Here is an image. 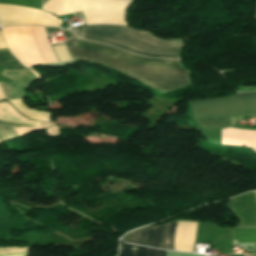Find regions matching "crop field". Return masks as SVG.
I'll return each instance as SVG.
<instances>
[{"mask_svg": "<svg viewBox=\"0 0 256 256\" xmlns=\"http://www.w3.org/2000/svg\"><path fill=\"white\" fill-rule=\"evenodd\" d=\"M10 102L17 110H19L21 113H23L24 115H26L32 119L39 120V121H49V119H48L49 113L48 112H42V111H37V110L28 108L24 104L23 99L12 100Z\"/></svg>", "mask_w": 256, "mask_h": 256, "instance_id": "obj_11", "label": "crop field"}, {"mask_svg": "<svg viewBox=\"0 0 256 256\" xmlns=\"http://www.w3.org/2000/svg\"><path fill=\"white\" fill-rule=\"evenodd\" d=\"M2 76L15 82L0 83L2 92L6 99L24 97L29 85L36 80V78L27 69L20 71L4 70Z\"/></svg>", "mask_w": 256, "mask_h": 256, "instance_id": "obj_8", "label": "crop field"}, {"mask_svg": "<svg viewBox=\"0 0 256 256\" xmlns=\"http://www.w3.org/2000/svg\"><path fill=\"white\" fill-rule=\"evenodd\" d=\"M1 31L9 50L24 66L58 62L46 38L44 27H6L1 28ZM53 48L60 61L71 60L64 44Z\"/></svg>", "mask_w": 256, "mask_h": 256, "instance_id": "obj_3", "label": "crop field"}, {"mask_svg": "<svg viewBox=\"0 0 256 256\" xmlns=\"http://www.w3.org/2000/svg\"><path fill=\"white\" fill-rule=\"evenodd\" d=\"M193 119L203 130L231 126L230 116L256 114V92L191 102Z\"/></svg>", "mask_w": 256, "mask_h": 256, "instance_id": "obj_4", "label": "crop field"}, {"mask_svg": "<svg viewBox=\"0 0 256 256\" xmlns=\"http://www.w3.org/2000/svg\"><path fill=\"white\" fill-rule=\"evenodd\" d=\"M1 99H4V98H3L2 92H1V90H0V100H1Z\"/></svg>", "mask_w": 256, "mask_h": 256, "instance_id": "obj_17", "label": "crop field"}, {"mask_svg": "<svg viewBox=\"0 0 256 256\" xmlns=\"http://www.w3.org/2000/svg\"><path fill=\"white\" fill-rule=\"evenodd\" d=\"M4 48H6V46H5L3 40H2V38L0 36V49H4Z\"/></svg>", "mask_w": 256, "mask_h": 256, "instance_id": "obj_16", "label": "crop field"}, {"mask_svg": "<svg viewBox=\"0 0 256 256\" xmlns=\"http://www.w3.org/2000/svg\"><path fill=\"white\" fill-rule=\"evenodd\" d=\"M0 66H3L5 68H21L23 67L16 59L15 57L5 50H0Z\"/></svg>", "mask_w": 256, "mask_h": 256, "instance_id": "obj_13", "label": "crop field"}, {"mask_svg": "<svg viewBox=\"0 0 256 256\" xmlns=\"http://www.w3.org/2000/svg\"><path fill=\"white\" fill-rule=\"evenodd\" d=\"M132 0H48L42 9L57 15L82 12L86 25L127 26L126 12Z\"/></svg>", "mask_w": 256, "mask_h": 256, "instance_id": "obj_5", "label": "crop field"}, {"mask_svg": "<svg viewBox=\"0 0 256 256\" xmlns=\"http://www.w3.org/2000/svg\"><path fill=\"white\" fill-rule=\"evenodd\" d=\"M177 222L138 230L127 235L123 241L173 250Z\"/></svg>", "mask_w": 256, "mask_h": 256, "instance_id": "obj_7", "label": "crop field"}, {"mask_svg": "<svg viewBox=\"0 0 256 256\" xmlns=\"http://www.w3.org/2000/svg\"><path fill=\"white\" fill-rule=\"evenodd\" d=\"M22 116L20 114H18L9 104L0 103V119L40 126V123H38L39 121L38 122H33L34 120L29 121L30 119L27 120L28 118L25 119L26 117L23 118ZM10 123H11L12 127L31 126V125H25V124L13 123V122H10Z\"/></svg>", "mask_w": 256, "mask_h": 256, "instance_id": "obj_9", "label": "crop field"}, {"mask_svg": "<svg viewBox=\"0 0 256 256\" xmlns=\"http://www.w3.org/2000/svg\"><path fill=\"white\" fill-rule=\"evenodd\" d=\"M66 45L101 53L113 58H117L126 61L131 64L152 67V68H164V69H180L184 70L179 61H167L158 59H149L145 57H137L130 53L120 51L114 48H110L101 44L78 40L65 42ZM67 47V50L71 57L86 59L98 63L108 65L114 69H117L123 73H126L139 81L149 85L150 87L163 92L176 88H180L188 85V71L179 70H163L144 68L135 65L125 63L120 60H116L101 54Z\"/></svg>", "mask_w": 256, "mask_h": 256, "instance_id": "obj_1", "label": "crop field"}, {"mask_svg": "<svg viewBox=\"0 0 256 256\" xmlns=\"http://www.w3.org/2000/svg\"><path fill=\"white\" fill-rule=\"evenodd\" d=\"M29 248L21 247V248H13V247H2L0 248V254H10L16 252L27 251Z\"/></svg>", "mask_w": 256, "mask_h": 256, "instance_id": "obj_15", "label": "crop field"}, {"mask_svg": "<svg viewBox=\"0 0 256 256\" xmlns=\"http://www.w3.org/2000/svg\"><path fill=\"white\" fill-rule=\"evenodd\" d=\"M12 130L9 124L0 123V143L12 138H16V135Z\"/></svg>", "mask_w": 256, "mask_h": 256, "instance_id": "obj_14", "label": "crop field"}, {"mask_svg": "<svg viewBox=\"0 0 256 256\" xmlns=\"http://www.w3.org/2000/svg\"><path fill=\"white\" fill-rule=\"evenodd\" d=\"M254 151H256V149H253Z\"/></svg>", "mask_w": 256, "mask_h": 256, "instance_id": "obj_18", "label": "crop field"}, {"mask_svg": "<svg viewBox=\"0 0 256 256\" xmlns=\"http://www.w3.org/2000/svg\"><path fill=\"white\" fill-rule=\"evenodd\" d=\"M165 251L122 244L120 256H164Z\"/></svg>", "mask_w": 256, "mask_h": 256, "instance_id": "obj_10", "label": "crop field"}, {"mask_svg": "<svg viewBox=\"0 0 256 256\" xmlns=\"http://www.w3.org/2000/svg\"><path fill=\"white\" fill-rule=\"evenodd\" d=\"M1 4H15L40 9V0H0ZM18 6L0 5V24L7 25H46L56 26V17L36 10Z\"/></svg>", "mask_w": 256, "mask_h": 256, "instance_id": "obj_6", "label": "crop field"}, {"mask_svg": "<svg viewBox=\"0 0 256 256\" xmlns=\"http://www.w3.org/2000/svg\"><path fill=\"white\" fill-rule=\"evenodd\" d=\"M233 242L255 243L256 254V229H233Z\"/></svg>", "mask_w": 256, "mask_h": 256, "instance_id": "obj_12", "label": "crop field"}, {"mask_svg": "<svg viewBox=\"0 0 256 256\" xmlns=\"http://www.w3.org/2000/svg\"><path fill=\"white\" fill-rule=\"evenodd\" d=\"M82 32L83 38L150 57L177 59L181 46L178 39L163 40L150 32L130 26H84Z\"/></svg>", "mask_w": 256, "mask_h": 256, "instance_id": "obj_2", "label": "crop field"}]
</instances>
